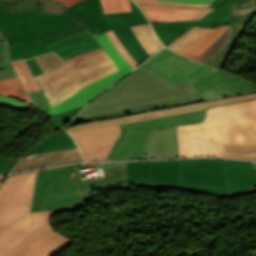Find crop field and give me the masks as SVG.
I'll list each match as a JSON object with an SVG mask.
<instances>
[{"mask_svg": "<svg viewBox=\"0 0 256 256\" xmlns=\"http://www.w3.org/2000/svg\"><path fill=\"white\" fill-rule=\"evenodd\" d=\"M0 40H3V37H2V36L0 37Z\"/></svg>", "mask_w": 256, "mask_h": 256, "instance_id": "obj_58", "label": "crop field"}, {"mask_svg": "<svg viewBox=\"0 0 256 256\" xmlns=\"http://www.w3.org/2000/svg\"><path fill=\"white\" fill-rule=\"evenodd\" d=\"M224 157L256 159V145L223 144Z\"/></svg>", "mask_w": 256, "mask_h": 256, "instance_id": "obj_36", "label": "crop field"}, {"mask_svg": "<svg viewBox=\"0 0 256 256\" xmlns=\"http://www.w3.org/2000/svg\"><path fill=\"white\" fill-rule=\"evenodd\" d=\"M46 46L63 59L79 53L101 48L89 31L74 34Z\"/></svg>", "mask_w": 256, "mask_h": 256, "instance_id": "obj_20", "label": "crop field"}, {"mask_svg": "<svg viewBox=\"0 0 256 256\" xmlns=\"http://www.w3.org/2000/svg\"><path fill=\"white\" fill-rule=\"evenodd\" d=\"M65 61L71 66L37 80L49 102L87 79L116 67L103 48L73 56Z\"/></svg>", "mask_w": 256, "mask_h": 256, "instance_id": "obj_6", "label": "crop field"}, {"mask_svg": "<svg viewBox=\"0 0 256 256\" xmlns=\"http://www.w3.org/2000/svg\"><path fill=\"white\" fill-rule=\"evenodd\" d=\"M62 179L61 167L39 171L32 212L45 210L51 182Z\"/></svg>", "mask_w": 256, "mask_h": 256, "instance_id": "obj_23", "label": "crop field"}, {"mask_svg": "<svg viewBox=\"0 0 256 256\" xmlns=\"http://www.w3.org/2000/svg\"><path fill=\"white\" fill-rule=\"evenodd\" d=\"M163 1L207 4V3H213V2L216 1V0H163Z\"/></svg>", "mask_w": 256, "mask_h": 256, "instance_id": "obj_51", "label": "crop field"}, {"mask_svg": "<svg viewBox=\"0 0 256 256\" xmlns=\"http://www.w3.org/2000/svg\"><path fill=\"white\" fill-rule=\"evenodd\" d=\"M35 61L37 62L43 73L66 64L63 59H61L54 53H49L41 57L35 58Z\"/></svg>", "mask_w": 256, "mask_h": 256, "instance_id": "obj_39", "label": "crop field"}, {"mask_svg": "<svg viewBox=\"0 0 256 256\" xmlns=\"http://www.w3.org/2000/svg\"><path fill=\"white\" fill-rule=\"evenodd\" d=\"M132 12L104 14L100 0H83L66 9L91 34L113 29L127 51L141 64L150 56L145 52L129 26L147 23L148 20L136 6Z\"/></svg>", "mask_w": 256, "mask_h": 256, "instance_id": "obj_5", "label": "crop field"}, {"mask_svg": "<svg viewBox=\"0 0 256 256\" xmlns=\"http://www.w3.org/2000/svg\"><path fill=\"white\" fill-rule=\"evenodd\" d=\"M182 184L205 185L229 189L223 160H180Z\"/></svg>", "mask_w": 256, "mask_h": 256, "instance_id": "obj_10", "label": "crop field"}, {"mask_svg": "<svg viewBox=\"0 0 256 256\" xmlns=\"http://www.w3.org/2000/svg\"><path fill=\"white\" fill-rule=\"evenodd\" d=\"M33 75H38V74H42V71L40 70V68L38 67V65L36 64V62L34 61V59H30V60H26Z\"/></svg>", "mask_w": 256, "mask_h": 256, "instance_id": "obj_50", "label": "crop field"}, {"mask_svg": "<svg viewBox=\"0 0 256 256\" xmlns=\"http://www.w3.org/2000/svg\"><path fill=\"white\" fill-rule=\"evenodd\" d=\"M231 26L232 24H230L229 28L205 52L196 58V60L206 63L214 54L225 47L231 37Z\"/></svg>", "mask_w": 256, "mask_h": 256, "instance_id": "obj_37", "label": "crop field"}, {"mask_svg": "<svg viewBox=\"0 0 256 256\" xmlns=\"http://www.w3.org/2000/svg\"><path fill=\"white\" fill-rule=\"evenodd\" d=\"M117 70H119L118 67H116V68H114V69H112V70H109V71H107V72H105V73H103V74H100V75H98V76H96V77H94V78H92V79H90V80H88V81H86V82L80 84L79 86H77V87L73 88L72 90H70L68 93H66V94H65L64 96H62L61 98H59V99H57V100H55V101H53V102H50V105L53 106V105H56V104L61 103V102L64 101L65 99H67V98L71 97L72 95H74L76 92H78L80 89H82V88H83L84 86H86L87 84H89V83H91V82H93V81H95V80H97V79H100V78H102V77H104V76H106V75H108V74H111V73H113V72H115V71H117ZM87 86H88V85H87Z\"/></svg>", "mask_w": 256, "mask_h": 256, "instance_id": "obj_42", "label": "crop field"}, {"mask_svg": "<svg viewBox=\"0 0 256 256\" xmlns=\"http://www.w3.org/2000/svg\"><path fill=\"white\" fill-rule=\"evenodd\" d=\"M80 161L84 159L78 148L24 156L12 172Z\"/></svg>", "mask_w": 256, "mask_h": 256, "instance_id": "obj_17", "label": "crop field"}, {"mask_svg": "<svg viewBox=\"0 0 256 256\" xmlns=\"http://www.w3.org/2000/svg\"><path fill=\"white\" fill-rule=\"evenodd\" d=\"M227 28L228 25L217 28H207L199 37H197L179 53L195 59L204 50H206Z\"/></svg>", "mask_w": 256, "mask_h": 256, "instance_id": "obj_27", "label": "crop field"}, {"mask_svg": "<svg viewBox=\"0 0 256 256\" xmlns=\"http://www.w3.org/2000/svg\"><path fill=\"white\" fill-rule=\"evenodd\" d=\"M205 110L182 115L167 116L141 122L121 125L122 134L116 141L106 160L146 159L144 144L147 136L170 125L199 122L204 119Z\"/></svg>", "mask_w": 256, "mask_h": 256, "instance_id": "obj_7", "label": "crop field"}, {"mask_svg": "<svg viewBox=\"0 0 256 256\" xmlns=\"http://www.w3.org/2000/svg\"><path fill=\"white\" fill-rule=\"evenodd\" d=\"M180 157H223L222 143L245 144L240 103L207 110L204 122L177 126Z\"/></svg>", "mask_w": 256, "mask_h": 256, "instance_id": "obj_3", "label": "crop field"}, {"mask_svg": "<svg viewBox=\"0 0 256 256\" xmlns=\"http://www.w3.org/2000/svg\"><path fill=\"white\" fill-rule=\"evenodd\" d=\"M13 66L8 58V49L5 40L0 41V69Z\"/></svg>", "mask_w": 256, "mask_h": 256, "instance_id": "obj_47", "label": "crop field"}, {"mask_svg": "<svg viewBox=\"0 0 256 256\" xmlns=\"http://www.w3.org/2000/svg\"><path fill=\"white\" fill-rule=\"evenodd\" d=\"M54 1H56V0H54ZM58 1H60L61 3L65 4L66 6L69 7V6L79 2L81 0H58Z\"/></svg>", "mask_w": 256, "mask_h": 256, "instance_id": "obj_54", "label": "crop field"}, {"mask_svg": "<svg viewBox=\"0 0 256 256\" xmlns=\"http://www.w3.org/2000/svg\"><path fill=\"white\" fill-rule=\"evenodd\" d=\"M188 82L179 87L154 71L138 67L99 95L70 121L78 124L198 102Z\"/></svg>", "mask_w": 256, "mask_h": 256, "instance_id": "obj_1", "label": "crop field"}, {"mask_svg": "<svg viewBox=\"0 0 256 256\" xmlns=\"http://www.w3.org/2000/svg\"><path fill=\"white\" fill-rule=\"evenodd\" d=\"M148 158L179 157L176 126L152 133L146 143Z\"/></svg>", "mask_w": 256, "mask_h": 256, "instance_id": "obj_19", "label": "crop field"}, {"mask_svg": "<svg viewBox=\"0 0 256 256\" xmlns=\"http://www.w3.org/2000/svg\"><path fill=\"white\" fill-rule=\"evenodd\" d=\"M48 52L52 51L36 40L29 44L10 49V59L11 61L18 59H29Z\"/></svg>", "mask_w": 256, "mask_h": 256, "instance_id": "obj_34", "label": "crop field"}, {"mask_svg": "<svg viewBox=\"0 0 256 256\" xmlns=\"http://www.w3.org/2000/svg\"><path fill=\"white\" fill-rule=\"evenodd\" d=\"M104 13L131 11L128 0H101Z\"/></svg>", "mask_w": 256, "mask_h": 256, "instance_id": "obj_40", "label": "crop field"}, {"mask_svg": "<svg viewBox=\"0 0 256 256\" xmlns=\"http://www.w3.org/2000/svg\"><path fill=\"white\" fill-rule=\"evenodd\" d=\"M255 98H256V93H250L245 95L223 98L219 100L206 101L202 103L199 102V103L182 105V106H177V107L163 109V110L139 113V114H134V115L125 116V117L86 123V124L78 125L75 127L67 128L66 130H68L70 134H72V133H77V132H82V131H87L92 129L104 128V127L113 126L117 124L141 121V120L162 117L167 115L182 114V113L196 111L200 109H207V107H212L214 105L227 104L231 102L250 100Z\"/></svg>", "mask_w": 256, "mask_h": 256, "instance_id": "obj_9", "label": "crop field"}, {"mask_svg": "<svg viewBox=\"0 0 256 256\" xmlns=\"http://www.w3.org/2000/svg\"><path fill=\"white\" fill-rule=\"evenodd\" d=\"M206 28L194 26L188 32L183 34L181 37L170 43L167 47L175 52H179L191 41H193L197 36H199Z\"/></svg>", "mask_w": 256, "mask_h": 256, "instance_id": "obj_38", "label": "crop field"}, {"mask_svg": "<svg viewBox=\"0 0 256 256\" xmlns=\"http://www.w3.org/2000/svg\"><path fill=\"white\" fill-rule=\"evenodd\" d=\"M92 199L78 197L74 179L51 184L47 206L86 205Z\"/></svg>", "mask_w": 256, "mask_h": 256, "instance_id": "obj_21", "label": "crop field"}, {"mask_svg": "<svg viewBox=\"0 0 256 256\" xmlns=\"http://www.w3.org/2000/svg\"><path fill=\"white\" fill-rule=\"evenodd\" d=\"M108 36L114 43V45L117 47V49L120 51V53L123 55V57L127 60V62L132 66L134 69L139 64L136 62V60L126 51V49L123 47L113 30L107 31Z\"/></svg>", "mask_w": 256, "mask_h": 256, "instance_id": "obj_43", "label": "crop field"}, {"mask_svg": "<svg viewBox=\"0 0 256 256\" xmlns=\"http://www.w3.org/2000/svg\"><path fill=\"white\" fill-rule=\"evenodd\" d=\"M17 160L0 155V173H9Z\"/></svg>", "mask_w": 256, "mask_h": 256, "instance_id": "obj_48", "label": "crop field"}, {"mask_svg": "<svg viewBox=\"0 0 256 256\" xmlns=\"http://www.w3.org/2000/svg\"><path fill=\"white\" fill-rule=\"evenodd\" d=\"M209 7L216 9L204 18H202L201 20H199L196 23L197 26L210 28L231 23L228 0H217L214 4H212Z\"/></svg>", "mask_w": 256, "mask_h": 256, "instance_id": "obj_28", "label": "crop field"}, {"mask_svg": "<svg viewBox=\"0 0 256 256\" xmlns=\"http://www.w3.org/2000/svg\"><path fill=\"white\" fill-rule=\"evenodd\" d=\"M82 108L83 106L61 114L49 115L52 120L54 130L60 129L71 117L76 115Z\"/></svg>", "mask_w": 256, "mask_h": 256, "instance_id": "obj_41", "label": "crop field"}, {"mask_svg": "<svg viewBox=\"0 0 256 256\" xmlns=\"http://www.w3.org/2000/svg\"><path fill=\"white\" fill-rule=\"evenodd\" d=\"M95 39L100 43V45L105 49L111 59L114 60L116 65L122 70V72L126 75L128 72L133 70L131 66L126 62V60L122 57L116 47L113 45L106 32L97 35L93 34Z\"/></svg>", "mask_w": 256, "mask_h": 256, "instance_id": "obj_33", "label": "crop field"}, {"mask_svg": "<svg viewBox=\"0 0 256 256\" xmlns=\"http://www.w3.org/2000/svg\"><path fill=\"white\" fill-rule=\"evenodd\" d=\"M241 105L246 144H256V100L242 102Z\"/></svg>", "mask_w": 256, "mask_h": 256, "instance_id": "obj_30", "label": "crop field"}, {"mask_svg": "<svg viewBox=\"0 0 256 256\" xmlns=\"http://www.w3.org/2000/svg\"><path fill=\"white\" fill-rule=\"evenodd\" d=\"M0 94L12 96L31 104L18 77L0 80Z\"/></svg>", "mask_w": 256, "mask_h": 256, "instance_id": "obj_35", "label": "crop field"}, {"mask_svg": "<svg viewBox=\"0 0 256 256\" xmlns=\"http://www.w3.org/2000/svg\"><path fill=\"white\" fill-rule=\"evenodd\" d=\"M28 94L36 109L42 110L44 112L50 110V106L42 90L30 92Z\"/></svg>", "mask_w": 256, "mask_h": 256, "instance_id": "obj_44", "label": "crop field"}, {"mask_svg": "<svg viewBox=\"0 0 256 256\" xmlns=\"http://www.w3.org/2000/svg\"><path fill=\"white\" fill-rule=\"evenodd\" d=\"M125 76L121 71L108 75L98 81H95L81 91L76 93L71 98L65 100L63 103L56 105L51 108V111L46 112L49 114L61 113L78 106L84 105L94 98L97 94L102 92L104 89L115 83L117 80Z\"/></svg>", "mask_w": 256, "mask_h": 256, "instance_id": "obj_18", "label": "crop field"}, {"mask_svg": "<svg viewBox=\"0 0 256 256\" xmlns=\"http://www.w3.org/2000/svg\"><path fill=\"white\" fill-rule=\"evenodd\" d=\"M197 21L191 22H171V23H151L153 29L161 39L164 46L169 44L181 33L194 26ZM182 35V34H181Z\"/></svg>", "mask_w": 256, "mask_h": 256, "instance_id": "obj_29", "label": "crop field"}, {"mask_svg": "<svg viewBox=\"0 0 256 256\" xmlns=\"http://www.w3.org/2000/svg\"><path fill=\"white\" fill-rule=\"evenodd\" d=\"M77 147L66 131L60 130L36 144L26 155Z\"/></svg>", "mask_w": 256, "mask_h": 256, "instance_id": "obj_26", "label": "crop field"}, {"mask_svg": "<svg viewBox=\"0 0 256 256\" xmlns=\"http://www.w3.org/2000/svg\"><path fill=\"white\" fill-rule=\"evenodd\" d=\"M102 166L104 168H122V167H126L125 166V162H120V163H105L102 164Z\"/></svg>", "mask_w": 256, "mask_h": 256, "instance_id": "obj_53", "label": "crop field"}, {"mask_svg": "<svg viewBox=\"0 0 256 256\" xmlns=\"http://www.w3.org/2000/svg\"><path fill=\"white\" fill-rule=\"evenodd\" d=\"M13 65L23 83V85L25 86L27 92H30V91H34V90H39L40 87L38 86V84L36 83L35 80L41 78V77H44L48 74H51L55 71H58L62 68H65L67 66H69L68 64L64 65V66H61L59 68H56L50 72H47L45 74H42V75H38V76H35L33 77L27 63L25 60H18V61H14L13 62Z\"/></svg>", "mask_w": 256, "mask_h": 256, "instance_id": "obj_32", "label": "crop field"}, {"mask_svg": "<svg viewBox=\"0 0 256 256\" xmlns=\"http://www.w3.org/2000/svg\"><path fill=\"white\" fill-rule=\"evenodd\" d=\"M150 22H171L199 20L213 9L180 8L138 4Z\"/></svg>", "mask_w": 256, "mask_h": 256, "instance_id": "obj_16", "label": "crop field"}, {"mask_svg": "<svg viewBox=\"0 0 256 256\" xmlns=\"http://www.w3.org/2000/svg\"><path fill=\"white\" fill-rule=\"evenodd\" d=\"M0 105L18 109V110L33 109L32 106H30L20 100H17L15 98H11V97L2 96V95H0Z\"/></svg>", "mask_w": 256, "mask_h": 256, "instance_id": "obj_45", "label": "crop field"}, {"mask_svg": "<svg viewBox=\"0 0 256 256\" xmlns=\"http://www.w3.org/2000/svg\"><path fill=\"white\" fill-rule=\"evenodd\" d=\"M62 169H63V172H64V177H65V179H69L70 176H69L68 170H74L73 166H71V167H65V168H62Z\"/></svg>", "mask_w": 256, "mask_h": 256, "instance_id": "obj_55", "label": "crop field"}, {"mask_svg": "<svg viewBox=\"0 0 256 256\" xmlns=\"http://www.w3.org/2000/svg\"><path fill=\"white\" fill-rule=\"evenodd\" d=\"M150 183L181 184L179 160L150 161Z\"/></svg>", "mask_w": 256, "mask_h": 256, "instance_id": "obj_24", "label": "crop field"}, {"mask_svg": "<svg viewBox=\"0 0 256 256\" xmlns=\"http://www.w3.org/2000/svg\"><path fill=\"white\" fill-rule=\"evenodd\" d=\"M5 228V226L0 224V232Z\"/></svg>", "mask_w": 256, "mask_h": 256, "instance_id": "obj_57", "label": "crop field"}, {"mask_svg": "<svg viewBox=\"0 0 256 256\" xmlns=\"http://www.w3.org/2000/svg\"><path fill=\"white\" fill-rule=\"evenodd\" d=\"M86 30L66 10L60 15L30 10L20 14L0 12V32L9 48L36 39L46 45Z\"/></svg>", "mask_w": 256, "mask_h": 256, "instance_id": "obj_4", "label": "crop field"}, {"mask_svg": "<svg viewBox=\"0 0 256 256\" xmlns=\"http://www.w3.org/2000/svg\"><path fill=\"white\" fill-rule=\"evenodd\" d=\"M6 176H0V183L3 181V179L5 178Z\"/></svg>", "mask_w": 256, "mask_h": 256, "instance_id": "obj_56", "label": "crop field"}, {"mask_svg": "<svg viewBox=\"0 0 256 256\" xmlns=\"http://www.w3.org/2000/svg\"><path fill=\"white\" fill-rule=\"evenodd\" d=\"M131 29L150 56L163 48V45L157 39L149 23L132 26Z\"/></svg>", "mask_w": 256, "mask_h": 256, "instance_id": "obj_31", "label": "crop field"}, {"mask_svg": "<svg viewBox=\"0 0 256 256\" xmlns=\"http://www.w3.org/2000/svg\"><path fill=\"white\" fill-rule=\"evenodd\" d=\"M38 171L10 175L0 186V223L7 226L14 218L29 213Z\"/></svg>", "mask_w": 256, "mask_h": 256, "instance_id": "obj_8", "label": "crop field"}, {"mask_svg": "<svg viewBox=\"0 0 256 256\" xmlns=\"http://www.w3.org/2000/svg\"><path fill=\"white\" fill-rule=\"evenodd\" d=\"M232 38L227 46L207 62V64L222 69L235 42L242 35L253 15L256 13V0L231 1Z\"/></svg>", "mask_w": 256, "mask_h": 256, "instance_id": "obj_14", "label": "crop field"}, {"mask_svg": "<svg viewBox=\"0 0 256 256\" xmlns=\"http://www.w3.org/2000/svg\"><path fill=\"white\" fill-rule=\"evenodd\" d=\"M17 76L13 67L0 70V79Z\"/></svg>", "mask_w": 256, "mask_h": 256, "instance_id": "obj_49", "label": "crop field"}, {"mask_svg": "<svg viewBox=\"0 0 256 256\" xmlns=\"http://www.w3.org/2000/svg\"><path fill=\"white\" fill-rule=\"evenodd\" d=\"M129 179L139 187L165 188L189 190L198 193L222 196L231 198L230 190L204 187V186H185V185H167V184H149L150 167L149 161L144 162H126Z\"/></svg>", "mask_w": 256, "mask_h": 256, "instance_id": "obj_15", "label": "crop field"}, {"mask_svg": "<svg viewBox=\"0 0 256 256\" xmlns=\"http://www.w3.org/2000/svg\"><path fill=\"white\" fill-rule=\"evenodd\" d=\"M71 243L49 225L31 234L8 256H55Z\"/></svg>", "mask_w": 256, "mask_h": 256, "instance_id": "obj_12", "label": "crop field"}, {"mask_svg": "<svg viewBox=\"0 0 256 256\" xmlns=\"http://www.w3.org/2000/svg\"><path fill=\"white\" fill-rule=\"evenodd\" d=\"M66 8L52 0H0V11L19 13L25 9L60 14Z\"/></svg>", "mask_w": 256, "mask_h": 256, "instance_id": "obj_22", "label": "crop field"}, {"mask_svg": "<svg viewBox=\"0 0 256 256\" xmlns=\"http://www.w3.org/2000/svg\"><path fill=\"white\" fill-rule=\"evenodd\" d=\"M136 3L143 4H156V5H168V6H180V7H208V5H199V4H182V3H172V2H162L157 0H134Z\"/></svg>", "mask_w": 256, "mask_h": 256, "instance_id": "obj_46", "label": "crop field"}, {"mask_svg": "<svg viewBox=\"0 0 256 256\" xmlns=\"http://www.w3.org/2000/svg\"><path fill=\"white\" fill-rule=\"evenodd\" d=\"M119 125L71 135L81 149L86 161H102L119 137Z\"/></svg>", "mask_w": 256, "mask_h": 256, "instance_id": "obj_13", "label": "crop field"}, {"mask_svg": "<svg viewBox=\"0 0 256 256\" xmlns=\"http://www.w3.org/2000/svg\"><path fill=\"white\" fill-rule=\"evenodd\" d=\"M59 211H43L23 215L0 233V256H7L31 233L50 224L49 219Z\"/></svg>", "mask_w": 256, "mask_h": 256, "instance_id": "obj_11", "label": "crop field"}, {"mask_svg": "<svg viewBox=\"0 0 256 256\" xmlns=\"http://www.w3.org/2000/svg\"><path fill=\"white\" fill-rule=\"evenodd\" d=\"M82 206H70V207H47L46 210H59V211H75Z\"/></svg>", "mask_w": 256, "mask_h": 256, "instance_id": "obj_52", "label": "crop field"}, {"mask_svg": "<svg viewBox=\"0 0 256 256\" xmlns=\"http://www.w3.org/2000/svg\"><path fill=\"white\" fill-rule=\"evenodd\" d=\"M141 66L153 69L178 86L188 81L200 101L256 92V85L249 81L182 57L165 48Z\"/></svg>", "mask_w": 256, "mask_h": 256, "instance_id": "obj_2", "label": "crop field"}, {"mask_svg": "<svg viewBox=\"0 0 256 256\" xmlns=\"http://www.w3.org/2000/svg\"><path fill=\"white\" fill-rule=\"evenodd\" d=\"M103 171L106 174V177L101 179L96 177L85 180H81L82 177L76 178L79 192L101 189L116 184V182L128 180L125 169H110ZM103 181H105V183H103ZM85 183H87V185H85Z\"/></svg>", "mask_w": 256, "mask_h": 256, "instance_id": "obj_25", "label": "crop field"}]
</instances>
